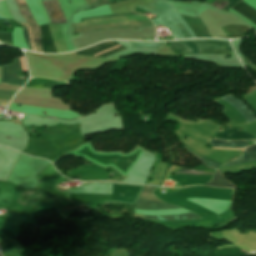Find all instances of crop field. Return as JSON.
<instances>
[{"instance_id":"obj_1","label":"crop field","mask_w":256,"mask_h":256,"mask_svg":"<svg viewBox=\"0 0 256 256\" xmlns=\"http://www.w3.org/2000/svg\"><path fill=\"white\" fill-rule=\"evenodd\" d=\"M149 4L153 8H155L183 38H196L195 35L197 36V38H213V36L210 34V32L198 18V16L190 17L181 15L193 30L195 34L194 35L190 27L184 21V19L178 14L179 12L177 13V11L171 7L172 5H174V3L162 0H154ZM149 4H147L145 7H141V9L148 11L159 17L155 20H152L155 27L162 25L164 29H167L169 31L171 30L173 36L176 39H182V37L171 27V25ZM221 29L228 36L224 38L242 37L249 30V28L245 26L233 25H229Z\"/></svg>"},{"instance_id":"obj_2","label":"crop field","mask_w":256,"mask_h":256,"mask_svg":"<svg viewBox=\"0 0 256 256\" xmlns=\"http://www.w3.org/2000/svg\"><path fill=\"white\" fill-rule=\"evenodd\" d=\"M221 99H223L226 103H228L231 107H233L237 113L241 116V118L246 122L255 121L254 117L250 110L246 107L245 104H243L241 101L236 99L233 96H224ZM225 132H216L213 137L216 139H224V140H253L256 139L255 135L243 132V131H237V130H230L227 128H223ZM230 134L231 136L228 137L227 135ZM249 141H239V142H225L220 140H211L210 145L213 147H247V143ZM213 149H244V148H213Z\"/></svg>"},{"instance_id":"obj_3","label":"crop field","mask_w":256,"mask_h":256,"mask_svg":"<svg viewBox=\"0 0 256 256\" xmlns=\"http://www.w3.org/2000/svg\"><path fill=\"white\" fill-rule=\"evenodd\" d=\"M145 19H148V18L143 15H139L135 13L111 14V15H102V16L87 18L86 20H84L85 23L74 24L73 27L125 22V21H135V20H145ZM146 26H154V25L152 21L145 20V21L125 22V23L106 24V25H97V26L77 27V28H73V32L83 33V32L111 30V29L129 28V27H146Z\"/></svg>"},{"instance_id":"obj_4","label":"crop field","mask_w":256,"mask_h":256,"mask_svg":"<svg viewBox=\"0 0 256 256\" xmlns=\"http://www.w3.org/2000/svg\"><path fill=\"white\" fill-rule=\"evenodd\" d=\"M168 47L177 55L193 53L229 54L232 51L229 41L218 40L170 42Z\"/></svg>"},{"instance_id":"obj_5","label":"crop field","mask_w":256,"mask_h":256,"mask_svg":"<svg viewBox=\"0 0 256 256\" xmlns=\"http://www.w3.org/2000/svg\"><path fill=\"white\" fill-rule=\"evenodd\" d=\"M157 189L156 187H148L145 186L142 192L140 193L138 198L141 199H147V200H153V201H159L154 195L153 191ZM137 199L135 203L134 209H141V210H168V209H180L178 207L172 206L170 204L162 203V205L159 202H153V201H147V200H141ZM155 205V206H153ZM146 219H157V220H173V219H191V218H200L195 214H181V215H155V216H143Z\"/></svg>"},{"instance_id":"obj_6","label":"crop field","mask_w":256,"mask_h":256,"mask_svg":"<svg viewBox=\"0 0 256 256\" xmlns=\"http://www.w3.org/2000/svg\"><path fill=\"white\" fill-rule=\"evenodd\" d=\"M20 60H21L23 71L27 70L24 57L20 58ZM20 60L18 58L12 64L3 66L2 67V77L20 78L17 74L18 72L22 71L21 65H20ZM8 78H2L1 82L10 83V84H19V85L23 86L27 81V80H22V79H8Z\"/></svg>"},{"instance_id":"obj_7","label":"crop field","mask_w":256,"mask_h":256,"mask_svg":"<svg viewBox=\"0 0 256 256\" xmlns=\"http://www.w3.org/2000/svg\"><path fill=\"white\" fill-rule=\"evenodd\" d=\"M116 45H118V43L116 42V41H109V42H104V43H100V44H98V45H96V46H93V47H91V48H89V49H85V50H81V51H77L76 52V54H82V55H90V56H92V55H95V54H97V53H99V52H102V51H104V50H106V49H109V48H111V47H114V46H116ZM118 46H120V45H118ZM118 46H116V47H118ZM115 48V47H114ZM111 49H113V48H111ZM124 49H126V48H124V47H122V46H120V47H118V48H115V49H113V50H110V51H108V52H106V51H104V52H106V53H103V54H101V53H99V54H101V55H98V57H108V56H110V55H112V54H114V53H116V52H118V51H121V50H124ZM96 56V55H95Z\"/></svg>"},{"instance_id":"obj_8","label":"crop field","mask_w":256,"mask_h":256,"mask_svg":"<svg viewBox=\"0 0 256 256\" xmlns=\"http://www.w3.org/2000/svg\"><path fill=\"white\" fill-rule=\"evenodd\" d=\"M42 3L52 23H60L67 20L59 0H46L42 1Z\"/></svg>"},{"instance_id":"obj_9","label":"crop field","mask_w":256,"mask_h":256,"mask_svg":"<svg viewBox=\"0 0 256 256\" xmlns=\"http://www.w3.org/2000/svg\"><path fill=\"white\" fill-rule=\"evenodd\" d=\"M44 53H57L47 25L39 26Z\"/></svg>"},{"instance_id":"obj_10","label":"crop field","mask_w":256,"mask_h":256,"mask_svg":"<svg viewBox=\"0 0 256 256\" xmlns=\"http://www.w3.org/2000/svg\"><path fill=\"white\" fill-rule=\"evenodd\" d=\"M237 5L256 18V10L254 8L250 7L249 5L244 3L243 1H241ZM238 6L235 5L231 9L237 11L238 13L242 14L246 19H248L252 23L256 24V19L253 16H251L250 14H248L247 12H245L244 10H242L241 8H239Z\"/></svg>"},{"instance_id":"obj_11","label":"crop field","mask_w":256,"mask_h":256,"mask_svg":"<svg viewBox=\"0 0 256 256\" xmlns=\"http://www.w3.org/2000/svg\"><path fill=\"white\" fill-rule=\"evenodd\" d=\"M256 150V145L253 146V147H250V148H247V153L249 152H252ZM256 160V151L255 152H252V153H249V154H246L244 156H241L240 158H238L237 160L233 161V162H230V163H227L223 166H226V165H233V164H239V163H244V162H248V161H255Z\"/></svg>"},{"instance_id":"obj_12","label":"crop field","mask_w":256,"mask_h":256,"mask_svg":"<svg viewBox=\"0 0 256 256\" xmlns=\"http://www.w3.org/2000/svg\"><path fill=\"white\" fill-rule=\"evenodd\" d=\"M207 186H216V187H227L235 188L233 183L229 182L226 178L214 176L213 180L206 183Z\"/></svg>"},{"instance_id":"obj_13","label":"crop field","mask_w":256,"mask_h":256,"mask_svg":"<svg viewBox=\"0 0 256 256\" xmlns=\"http://www.w3.org/2000/svg\"><path fill=\"white\" fill-rule=\"evenodd\" d=\"M132 47H146V48H157L163 42H132L130 41Z\"/></svg>"},{"instance_id":"obj_14","label":"crop field","mask_w":256,"mask_h":256,"mask_svg":"<svg viewBox=\"0 0 256 256\" xmlns=\"http://www.w3.org/2000/svg\"><path fill=\"white\" fill-rule=\"evenodd\" d=\"M28 29H29V27H28ZM28 29H27V26H25V27L22 28V32H23V36H24V39H25V43H26L27 48H28L29 50H32L33 43H32V47H31V42H32V40H31V42H30L31 36H30V38H29V33H30V31H29V33H28ZM33 50H34V48H33ZM33 50H32V51H33ZM34 51H35V50H34Z\"/></svg>"},{"instance_id":"obj_15","label":"crop field","mask_w":256,"mask_h":256,"mask_svg":"<svg viewBox=\"0 0 256 256\" xmlns=\"http://www.w3.org/2000/svg\"><path fill=\"white\" fill-rule=\"evenodd\" d=\"M16 91L0 90V99H11Z\"/></svg>"},{"instance_id":"obj_16","label":"crop field","mask_w":256,"mask_h":256,"mask_svg":"<svg viewBox=\"0 0 256 256\" xmlns=\"http://www.w3.org/2000/svg\"><path fill=\"white\" fill-rule=\"evenodd\" d=\"M0 40L4 42L12 43V33L0 32Z\"/></svg>"},{"instance_id":"obj_17","label":"crop field","mask_w":256,"mask_h":256,"mask_svg":"<svg viewBox=\"0 0 256 256\" xmlns=\"http://www.w3.org/2000/svg\"><path fill=\"white\" fill-rule=\"evenodd\" d=\"M240 0H234L233 2H231L230 4H228L226 7L227 10L230 9L232 6H234L237 2H239Z\"/></svg>"}]
</instances>
